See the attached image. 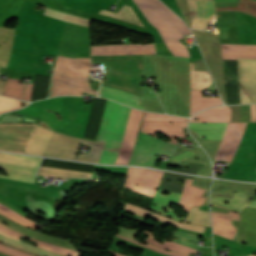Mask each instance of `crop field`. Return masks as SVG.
I'll return each mask as SVG.
<instances>
[{
    "mask_svg": "<svg viewBox=\"0 0 256 256\" xmlns=\"http://www.w3.org/2000/svg\"><path fill=\"white\" fill-rule=\"evenodd\" d=\"M194 154H196V153L190 152V151H186V152H184V153H182V154H180V155L174 157L173 159H174L175 161H177V162H180V161H182V160H185V159H187V158L193 156Z\"/></svg>",
    "mask_w": 256,
    "mask_h": 256,
    "instance_id": "42",
    "label": "crop field"
},
{
    "mask_svg": "<svg viewBox=\"0 0 256 256\" xmlns=\"http://www.w3.org/2000/svg\"><path fill=\"white\" fill-rule=\"evenodd\" d=\"M150 97L157 98L156 93H154L153 91L150 90Z\"/></svg>",
    "mask_w": 256,
    "mask_h": 256,
    "instance_id": "49",
    "label": "crop field"
},
{
    "mask_svg": "<svg viewBox=\"0 0 256 256\" xmlns=\"http://www.w3.org/2000/svg\"><path fill=\"white\" fill-rule=\"evenodd\" d=\"M24 85L20 83V80L9 78L6 83L4 95L22 99Z\"/></svg>",
    "mask_w": 256,
    "mask_h": 256,
    "instance_id": "35",
    "label": "crop field"
},
{
    "mask_svg": "<svg viewBox=\"0 0 256 256\" xmlns=\"http://www.w3.org/2000/svg\"><path fill=\"white\" fill-rule=\"evenodd\" d=\"M171 125L169 122H143L141 131L152 136H155V131L162 133L166 137L172 139L169 142L177 144L176 137H186L182 127H186L187 123L172 122ZM156 137V136H155ZM178 145V144H177Z\"/></svg>",
    "mask_w": 256,
    "mask_h": 256,
    "instance_id": "14",
    "label": "crop field"
},
{
    "mask_svg": "<svg viewBox=\"0 0 256 256\" xmlns=\"http://www.w3.org/2000/svg\"><path fill=\"white\" fill-rule=\"evenodd\" d=\"M250 256H253V255H250Z\"/></svg>",
    "mask_w": 256,
    "mask_h": 256,
    "instance_id": "53",
    "label": "crop field"
},
{
    "mask_svg": "<svg viewBox=\"0 0 256 256\" xmlns=\"http://www.w3.org/2000/svg\"><path fill=\"white\" fill-rule=\"evenodd\" d=\"M1 221L7 223L10 227L5 225V224H3V225H5V226H7V227H9V228H11L15 231H18L22 234H25L29 237H32L36 240L51 243V244H55V245H59V246H63V247H67V248H71V249H75V250L77 249V248L72 247V244L69 243V241H67V240H63V239L43 235V234L38 233L34 230L25 228V227L17 225V224H14V223H12V222H10V221H8V220H6V219H4L3 217L0 216V222Z\"/></svg>",
    "mask_w": 256,
    "mask_h": 256,
    "instance_id": "17",
    "label": "crop field"
},
{
    "mask_svg": "<svg viewBox=\"0 0 256 256\" xmlns=\"http://www.w3.org/2000/svg\"><path fill=\"white\" fill-rule=\"evenodd\" d=\"M37 174L43 175H52L62 178H69V177H81V178H91L92 173L89 172H81V171H74V170H66V169H59V168H52V167H44L41 166Z\"/></svg>",
    "mask_w": 256,
    "mask_h": 256,
    "instance_id": "26",
    "label": "crop field"
},
{
    "mask_svg": "<svg viewBox=\"0 0 256 256\" xmlns=\"http://www.w3.org/2000/svg\"><path fill=\"white\" fill-rule=\"evenodd\" d=\"M0 214L18 222V223H21L23 225H26V226H29L31 228H34V229H40L42 227H40L38 224L20 216L19 214L11 211L10 209L4 207L3 205L0 204Z\"/></svg>",
    "mask_w": 256,
    "mask_h": 256,
    "instance_id": "34",
    "label": "crop field"
},
{
    "mask_svg": "<svg viewBox=\"0 0 256 256\" xmlns=\"http://www.w3.org/2000/svg\"><path fill=\"white\" fill-rule=\"evenodd\" d=\"M171 59L189 61V58L171 57Z\"/></svg>",
    "mask_w": 256,
    "mask_h": 256,
    "instance_id": "47",
    "label": "crop field"
},
{
    "mask_svg": "<svg viewBox=\"0 0 256 256\" xmlns=\"http://www.w3.org/2000/svg\"><path fill=\"white\" fill-rule=\"evenodd\" d=\"M173 235H175L177 237L187 238V239H190L195 242H196V237H197V235H195V234H189V233H183V232H177V231H174Z\"/></svg>",
    "mask_w": 256,
    "mask_h": 256,
    "instance_id": "41",
    "label": "crop field"
},
{
    "mask_svg": "<svg viewBox=\"0 0 256 256\" xmlns=\"http://www.w3.org/2000/svg\"><path fill=\"white\" fill-rule=\"evenodd\" d=\"M176 145L140 133L129 164L153 167L156 153L173 155Z\"/></svg>",
    "mask_w": 256,
    "mask_h": 256,
    "instance_id": "5",
    "label": "crop field"
},
{
    "mask_svg": "<svg viewBox=\"0 0 256 256\" xmlns=\"http://www.w3.org/2000/svg\"><path fill=\"white\" fill-rule=\"evenodd\" d=\"M246 123H229L222 139V142L217 150L216 158L224 160L227 162H231L241 135L243 133L244 127Z\"/></svg>",
    "mask_w": 256,
    "mask_h": 256,
    "instance_id": "10",
    "label": "crop field"
},
{
    "mask_svg": "<svg viewBox=\"0 0 256 256\" xmlns=\"http://www.w3.org/2000/svg\"><path fill=\"white\" fill-rule=\"evenodd\" d=\"M52 133L39 126L27 153L42 155Z\"/></svg>",
    "mask_w": 256,
    "mask_h": 256,
    "instance_id": "25",
    "label": "crop field"
},
{
    "mask_svg": "<svg viewBox=\"0 0 256 256\" xmlns=\"http://www.w3.org/2000/svg\"><path fill=\"white\" fill-rule=\"evenodd\" d=\"M37 125L0 124V150L26 153Z\"/></svg>",
    "mask_w": 256,
    "mask_h": 256,
    "instance_id": "6",
    "label": "crop field"
},
{
    "mask_svg": "<svg viewBox=\"0 0 256 256\" xmlns=\"http://www.w3.org/2000/svg\"><path fill=\"white\" fill-rule=\"evenodd\" d=\"M148 21L159 31L168 49L179 57H189L182 42L183 33L191 34L184 22L159 0H134ZM138 7V8H139Z\"/></svg>",
    "mask_w": 256,
    "mask_h": 256,
    "instance_id": "1",
    "label": "crop field"
},
{
    "mask_svg": "<svg viewBox=\"0 0 256 256\" xmlns=\"http://www.w3.org/2000/svg\"><path fill=\"white\" fill-rule=\"evenodd\" d=\"M99 13L103 14V15L113 17V18H116V19H119V20H124V21H128V22L143 26L141 24V22L138 20V18L135 16V14L132 12L130 7H128L126 5H124L122 7V9L117 14L112 13V12H108V11H105V10H102V9L100 10Z\"/></svg>",
    "mask_w": 256,
    "mask_h": 256,
    "instance_id": "31",
    "label": "crop field"
},
{
    "mask_svg": "<svg viewBox=\"0 0 256 256\" xmlns=\"http://www.w3.org/2000/svg\"><path fill=\"white\" fill-rule=\"evenodd\" d=\"M188 120L189 119L155 114V113H148V112L144 113V118H143V121H183V122H188Z\"/></svg>",
    "mask_w": 256,
    "mask_h": 256,
    "instance_id": "37",
    "label": "crop field"
},
{
    "mask_svg": "<svg viewBox=\"0 0 256 256\" xmlns=\"http://www.w3.org/2000/svg\"><path fill=\"white\" fill-rule=\"evenodd\" d=\"M245 199L246 195L240 192H237L232 200L213 196L211 197V205L240 212L249 203ZM224 201L230 202V204H223Z\"/></svg>",
    "mask_w": 256,
    "mask_h": 256,
    "instance_id": "24",
    "label": "crop field"
},
{
    "mask_svg": "<svg viewBox=\"0 0 256 256\" xmlns=\"http://www.w3.org/2000/svg\"><path fill=\"white\" fill-rule=\"evenodd\" d=\"M151 217L153 218H156L160 221H163V222H169L177 227H181V228H185V229H189V230H193V231H197V232H201L203 233L204 232V228L203 226H197V225H191V224H185V223H180L178 221H175L173 219H170L168 217H165V216H162L160 214H157L155 212L152 213Z\"/></svg>",
    "mask_w": 256,
    "mask_h": 256,
    "instance_id": "36",
    "label": "crop field"
},
{
    "mask_svg": "<svg viewBox=\"0 0 256 256\" xmlns=\"http://www.w3.org/2000/svg\"><path fill=\"white\" fill-rule=\"evenodd\" d=\"M231 117V109L227 107H216L210 110L203 111L194 116L191 122H229ZM199 118V121H194Z\"/></svg>",
    "mask_w": 256,
    "mask_h": 256,
    "instance_id": "22",
    "label": "crop field"
},
{
    "mask_svg": "<svg viewBox=\"0 0 256 256\" xmlns=\"http://www.w3.org/2000/svg\"><path fill=\"white\" fill-rule=\"evenodd\" d=\"M192 26L191 28L205 29L215 13L213 0H188Z\"/></svg>",
    "mask_w": 256,
    "mask_h": 256,
    "instance_id": "12",
    "label": "crop field"
},
{
    "mask_svg": "<svg viewBox=\"0 0 256 256\" xmlns=\"http://www.w3.org/2000/svg\"><path fill=\"white\" fill-rule=\"evenodd\" d=\"M90 69V59H68L58 56L50 97L57 95H81L82 91L96 95L98 91L92 90L88 82V71Z\"/></svg>",
    "mask_w": 256,
    "mask_h": 256,
    "instance_id": "2",
    "label": "crop field"
},
{
    "mask_svg": "<svg viewBox=\"0 0 256 256\" xmlns=\"http://www.w3.org/2000/svg\"><path fill=\"white\" fill-rule=\"evenodd\" d=\"M174 240V239H173ZM175 242H177V243H180V244H182V245H185V246H188V247H192V248H195V249H197V250H199L200 251V247H198V246H196V245H194V244H192V243H189V242H186V241H182V240H174Z\"/></svg>",
    "mask_w": 256,
    "mask_h": 256,
    "instance_id": "44",
    "label": "crop field"
},
{
    "mask_svg": "<svg viewBox=\"0 0 256 256\" xmlns=\"http://www.w3.org/2000/svg\"><path fill=\"white\" fill-rule=\"evenodd\" d=\"M212 79L208 71H193V63H190V87L202 90L210 86Z\"/></svg>",
    "mask_w": 256,
    "mask_h": 256,
    "instance_id": "27",
    "label": "crop field"
},
{
    "mask_svg": "<svg viewBox=\"0 0 256 256\" xmlns=\"http://www.w3.org/2000/svg\"><path fill=\"white\" fill-rule=\"evenodd\" d=\"M0 256H9V255H6V254H3V253H0Z\"/></svg>",
    "mask_w": 256,
    "mask_h": 256,
    "instance_id": "51",
    "label": "crop field"
},
{
    "mask_svg": "<svg viewBox=\"0 0 256 256\" xmlns=\"http://www.w3.org/2000/svg\"><path fill=\"white\" fill-rule=\"evenodd\" d=\"M144 233L149 235L145 241H147L149 243H152L154 245L160 246L162 248L173 250V251L179 252V253L187 255V256H189V254L191 252L195 253V251H196L194 249L179 245V244L174 243V242H164L163 244H161V243L154 240V235L152 233H149V232H146V231H144Z\"/></svg>",
    "mask_w": 256,
    "mask_h": 256,
    "instance_id": "30",
    "label": "crop field"
},
{
    "mask_svg": "<svg viewBox=\"0 0 256 256\" xmlns=\"http://www.w3.org/2000/svg\"><path fill=\"white\" fill-rule=\"evenodd\" d=\"M0 247H1L0 252L6 253V254H9V255H12V256H33L31 254H28V253L16 250L14 248L5 246L1 243H0Z\"/></svg>",
    "mask_w": 256,
    "mask_h": 256,
    "instance_id": "39",
    "label": "crop field"
},
{
    "mask_svg": "<svg viewBox=\"0 0 256 256\" xmlns=\"http://www.w3.org/2000/svg\"><path fill=\"white\" fill-rule=\"evenodd\" d=\"M80 143L89 145L91 148L89 154H79L77 160L98 163L104 145L67 137L56 132L53 133L43 155L73 159Z\"/></svg>",
    "mask_w": 256,
    "mask_h": 256,
    "instance_id": "4",
    "label": "crop field"
},
{
    "mask_svg": "<svg viewBox=\"0 0 256 256\" xmlns=\"http://www.w3.org/2000/svg\"><path fill=\"white\" fill-rule=\"evenodd\" d=\"M199 207H192L184 222L199 223L210 226L209 212L198 210Z\"/></svg>",
    "mask_w": 256,
    "mask_h": 256,
    "instance_id": "33",
    "label": "crop field"
},
{
    "mask_svg": "<svg viewBox=\"0 0 256 256\" xmlns=\"http://www.w3.org/2000/svg\"><path fill=\"white\" fill-rule=\"evenodd\" d=\"M0 233L8 235L10 237L16 238L18 239V237L22 234L15 232L3 225L0 224ZM25 236V235H22ZM27 237V236H25ZM29 238V237H27ZM32 239V238H30ZM19 240V239H18ZM33 241H36L34 239H32ZM38 242V246L44 249H47L49 251L55 252L57 254H61V255H65V256H76V251L75 250H71V249H67V248H63V247H59V246H55V245H51V244H47V243H43V242Z\"/></svg>",
    "mask_w": 256,
    "mask_h": 256,
    "instance_id": "23",
    "label": "crop field"
},
{
    "mask_svg": "<svg viewBox=\"0 0 256 256\" xmlns=\"http://www.w3.org/2000/svg\"><path fill=\"white\" fill-rule=\"evenodd\" d=\"M163 174L162 171L129 167L124 186L153 198Z\"/></svg>",
    "mask_w": 256,
    "mask_h": 256,
    "instance_id": "8",
    "label": "crop field"
},
{
    "mask_svg": "<svg viewBox=\"0 0 256 256\" xmlns=\"http://www.w3.org/2000/svg\"><path fill=\"white\" fill-rule=\"evenodd\" d=\"M33 84H26L23 100L30 101Z\"/></svg>",
    "mask_w": 256,
    "mask_h": 256,
    "instance_id": "43",
    "label": "crop field"
},
{
    "mask_svg": "<svg viewBox=\"0 0 256 256\" xmlns=\"http://www.w3.org/2000/svg\"><path fill=\"white\" fill-rule=\"evenodd\" d=\"M99 96L104 98H110L120 103L136 107L138 109H145L144 107L139 106L138 96H135L126 92H122L116 89H112L109 87H105L102 85H101Z\"/></svg>",
    "mask_w": 256,
    "mask_h": 256,
    "instance_id": "21",
    "label": "crop field"
},
{
    "mask_svg": "<svg viewBox=\"0 0 256 256\" xmlns=\"http://www.w3.org/2000/svg\"><path fill=\"white\" fill-rule=\"evenodd\" d=\"M215 7H236L238 0H214ZM217 11H241L256 17V0H239L237 8H215Z\"/></svg>",
    "mask_w": 256,
    "mask_h": 256,
    "instance_id": "18",
    "label": "crop field"
},
{
    "mask_svg": "<svg viewBox=\"0 0 256 256\" xmlns=\"http://www.w3.org/2000/svg\"><path fill=\"white\" fill-rule=\"evenodd\" d=\"M125 210H128L130 212H133V213H136V214H139L141 216H144V217H147L150 213V211H147L145 209H142V208H139V207H136V206H133L131 204H126Z\"/></svg>",
    "mask_w": 256,
    "mask_h": 256,
    "instance_id": "40",
    "label": "crop field"
},
{
    "mask_svg": "<svg viewBox=\"0 0 256 256\" xmlns=\"http://www.w3.org/2000/svg\"><path fill=\"white\" fill-rule=\"evenodd\" d=\"M223 59L237 60V58L256 59V46L221 44Z\"/></svg>",
    "mask_w": 256,
    "mask_h": 256,
    "instance_id": "19",
    "label": "crop field"
},
{
    "mask_svg": "<svg viewBox=\"0 0 256 256\" xmlns=\"http://www.w3.org/2000/svg\"><path fill=\"white\" fill-rule=\"evenodd\" d=\"M254 173H256V168H255V172ZM252 181H256V178L254 180H252Z\"/></svg>",
    "mask_w": 256,
    "mask_h": 256,
    "instance_id": "52",
    "label": "crop field"
},
{
    "mask_svg": "<svg viewBox=\"0 0 256 256\" xmlns=\"http://www.w3.org/2000/svg\"><path fill=\"white\" fill-rule=\"evenodd\" d=\"M109 253H112V254H114V255H117V256H122V255H120V254H117V253H115V252H112V251H108Z\"/></svg>",
    "mask_w": 256,
    "mask_h": 256,
    "instance_id": "50",
    "label": "crop field"
},
{
    "mask_svg": "<svg viewBox=\"0 0 256 256\" xmlns=\"http://www.w3.org/2000/svg\"><path fill=\"white\" fill-rule=\"evenodd\" d=\"M239 81H256V60L238 59ZM240 91L251 101L256 102V82H239ZM241 104L250 102L242 93Z\"/></svg>",
    "mask_w": 256,
    "mask_h": 256,
    "instance_id": "9",
    "label": "crop field"
},
{
    "mask_svg": "<svg viewBox=\"0 0 256 256\" xmlns=\"http://www.w3.org/2000/svg\"><path fill=\"white\" fill-rule=\"evenodd\" d=\"M130 109L108 100L96 141L121 144ZM119 147L120 145L106 144L104 151L118 152ZM117 154L103 152L99 163L114 164Z\"/></svg>",
    "mask_w": 256,
    "mask_h": 256,
    "instance_id": "3",
    "label": "crop field"
},
{
    "mask_svg": "<svg viewBox=\"0 0 256 256\" xmlns=\"http://www.w3.org/2000/svg\"><path fill=\"white\" fill-rule=\"evenodd\" d=\"M0 241L7 243L9 245L15 246L17 248H20L22 250L28 251L30 253L39 255V256H60V255H56L38 248H35L33 246H30L26 243H23L21 241L15 240L13 238L7 237L5 235L0 234Z\"/></svg>",
    "mask_w": 256,
    "mask_h": 256,
    "instance_id": "28",
    "label": "crop field"
},
{
    "mask_svg": "<svg viewBox=\"0 0 256 256\" xmlns=\"http://www.w3.org/2000/svg\"><path fill=\"white\" fill-rule=\"evenodd\" d=\"M156 54L154 44L109 45L92 47L91 55Z\"/></svg>",
    "mask_w": 256,
    "mask_h": 256,
    "instance_id": "13",
    "label": "crop field"
},
{
    "mask_svg": "<svg viewBox=\"0 0 256 256\" xmlns=\"http://www.w3.org/2000/svg\"><path fill=\"white\" fill-rule=\"evenodd\" d=\"M191 182H192V180H189V179L186 180V184H185L183 194H182L180 204H179L182 207L184 206L186 197L188 195V192H189V189L191 186ZM163 191H165V190H161V189L158 190L155 200L153 202L156 205L155 206L152 205L150 207V210H153L155 212L161 213L163 215L169 216L171 218L177 219L182 222L184 217H182V218L176 217V215L173 213V209L168 207L171 202L178 205L181 194L169 191L170 194L167 196L160 195ZM163 208H166L169 211V213L166 214L164 212Z\"/></svg>",
    "mask_w": 256,
    "mask_h": 256,
    "instance_id": "11",
    "label": "crop field"
},
{
    "mask_svg": "<svg viewBox=\"0 0 256 256\" xmlns=\"http://www.w3.org/2000/svg\"><path fill=\"white\" fill-rule=\"evenodd\" d=\"M21 102L22 101H18V100L0 96V113L9 111V110L22 108V107H20ZM23 103H25V102H23ZM25 104H27V103H25Z\"/></svg>",
    "mask_w": 256,
    "mask_h": 256,
    "instance_id": "38",
    "label": "crop field"
},
{
    "mask_svg": "<svg viewBox=\"0 0 256 256\" xmlns=\"http://www.w3.org/2000/svg\"><path fill=\"white\" fill-rule=\"evenodd\" d=\"M41 160L42 158H34V157L0 153V162L38 167ZM13 164L0 163V168L5 169L6 173H10L9 177H6V176H0V177L34 183L35 172L37 168L13 165Z\"/></svg>",
    "mask_w": 256,
    "mask_h": 256,
    "instance_id": "7",
    "label": "crop field"
},
{
    "mask_svg": "<svg viewBox=\"0 0 256 256\" xmlns=\"http://www.w3.org/2000/svg\"><path fill=\"white\" fill-rule=\"evenodd\" d=\"M248 207H256V201L253 200L249 205Z\"/></svg>",
    "mask_w": 256,
    "mask_h": 256,
    "instance_id": "48",
    "label": "crop field"
},
{
    "mask_svg": "<svg viewBox=\"0 0 256 256\" xmlns=\"http://www.w3.org/2000/svg\"><path fill=\"white\" fill-rule=\"evenodd\" d=\"M222 105L220 97H202L201 91L191 90L190 117L210 106Z\"/></svg>",
    "mask_w": 256,
    "mask_h": 256,
    "instance_id": "20",
    "label": "crop field"
},
{
    "mask_svg": "<svg viewBox=\"0 0 256 256\" xmlns=\"http://www.w3.org/2000/svg\"><path fill=\"white\" fill-rule=\"evenodd\" d=\"M228 123H190L189 129L203 139L221 140Z\"/></svg>",
    "mask_w": 256,
    "mask_h": 256,
    "instance_id": "15",
    "label": "crop field"
},
{
    "mask_svg": "<svg viewBox=\"0 0 256 256\" xmlns=\"http://www.w3.org/2000/svg\"><path fill=\"white\" fill-rule=\"evenodd\" d=\"M44 15L89 27V20H87V19L79 18L80 16L76 17L71 14L61 12V11H58L55 9H51L48 7L46 8Z\"/></svg>",
    "mask_w": 256,
    "mask_h": 256,
    "instance_id": "29",
    "label": "crop field"
},
{
    "mask_svg": "<svg viewBox=\"0 0 256 256\" xmlns=\"http://www.w3.org/2000/svg\"><path fill=\"white\" fill-rule=\"evenodd\" d=\"M5 83H6L5 80H0V94H2V95L4 93Z\"/></svg>",
    "mask_w": 256,
    "mask_h": 256,
    "instance_id": "46",
    "label": "crop field"
},
{
    "mask_svg": "<svg viewBox=\"0 0 256 256\" xmlns=\"http://www.w3.org/2000/svg\"><path fill=\"white\" fill-rule=\"evenodd\" d=\"M139 231V229H127V228H123V227H120L119 226V233L116 234V236L118 237H121V238H124L126 240H129L131 242H134V243H137L139 245H142V246H145V247H148V248H151V249H154V250H157L159 252H162V253H165V254H168V255H172V256H182V255H179V254H176V253H173V252H169V251H165V250H162V249H159L157 247H154V246H151L149 244H142L138 241H136L133 237L136 235V233Z\"/></svg>",
    "mask_w": 256,
    "mask_h": 256,
    "instance_id": "32",
    "label": "crop field"
},
{
    "mask_svg": "<svg viewBox=\"0 0 256 256\" xmlns=\"http://www.w3.org/2000/svg\"><path fill=\"white\" fill-rule=\"evenodd\" d=\"M212 216L241 220L240 214L233 211H229L228 214L212 212ZM230 221L231 220L224 219V224H223V219L212 217L213 233L222 236V224H223V236L232 240L237 228L232 226L230 224Z\"/></svg>",
    "mask_w": 256,
    "mask_h": 256,
    "instance_id": "16",
    "label": "crop field"
},
{
    "mask_svg": "<svg viewBox=\"0 0 256 256\" xmlns=\"http://www.w3.org/2000/svg\"><path fill=\"white\" fill-rule=\"evenodd\" d=\"M251 121H256V105H251Z\"/></svg>",
    "mask_w": 256,
    "mask_h": 256,
    "instance_id": "45",
    "label": "crop field"
}]
</instances>
